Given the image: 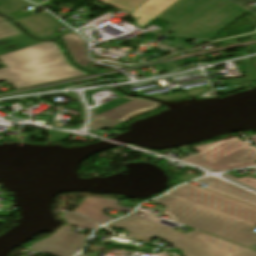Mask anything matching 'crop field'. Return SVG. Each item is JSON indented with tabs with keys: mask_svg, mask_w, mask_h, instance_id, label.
Here are the masks:
<instances>
[{
	"mask_svg": "<svg viewBox=\"0 0 256 256\" xmlns=\"http://www.w3.org/2000/svg\"><path fill=\"white\" fill-rule=\"evenodd\" d=\"M0 61L7 66L0 70V81L5 80L15 89L87 75L72 67L54 42L2 55Z\"/></svg>",
	"mask_w": 256,
	"mask_h": 256,
	"instance_id": "8a807250",
	"label": "crop field"
},
{
	"mask_svg": "<svg viewBox=\"0 0 256 256\" xmlns=\"http://www.w3.org/2000/svg\"><path fill=\"white\" fill-rule=\"evenodd\" d=\"M245 12L227 0H179L158 18L177 23L166 32L211 40Z\"/></svg>",
	"mask_w": 256,
	"mask_h": 256,
	"instance_id": "ac0d7876",
	"label": "crop field"
},
{
	"mask_svg": "<svg viewBox=\"0 0 256 256\" xmlns=\"http://www.w3.org/2000/svg\"><path fill=\"white\" fill-rule=\"evenodd\" d=\"M113 228H127L132 237L149 241L156 236L180 249L184 256H256V252L225 240L195 232L186 235L160 226L134 214L108 225Z\"/></svg>",
	"mask_w": 256,
	"mask_h": 256,
	"instance_id": "34b2d1b8",
	"label": "crop field"
},
{
	"mask_svg": "<svg viewBox=\"0 0 256 256\" xmlns=\"http://www.w3.org/2000/svg\"><path fill=\"white\" fill-rule=\"evenodd\" d=\"M177 222L250 247L256 243L255 225L197 204L177 200L165 206Z\"/></svg>",
	"mask_w": 256,
	"mask_h": 256,
	"instance_id": "412701ff",
	"label": "crop field"
},
{
	"mask_svg": "<svg viewBox=\"0 0 256 256\" xmlns=\"http://www.w3.org/2000/svg\"><path fill=\"white\" fill-rule=\"evenodd\" d=\"M168 194L256 224L255 206L202 189L190 183L180 186Z\"/></svg>",
	"mask_w": 256,
	"mask_h": 256,
	"instance_id": "f4fd0767",
	"label": "crop field"
},
{
	"mask_svg": "<svg viewBox=\"0 0 256 256\" xmlns=\"http://www.w3.org/2000/svg\"><path fill=\"white\" fill-rule=\"evenodd\" d=\"M194 149L200 154L180 160L201 165L215 172L256 165L255 161L221 140Z\"/></svg>",
	"mask_w": 256,
	"mask_h": 256,
	"instance_id": "dd49c442",
	"label": "crop field"
},
{
	"mask_svg": "<svg viewBox=\"0 0 256 256\" xmlns=\"http://www.w3.org/2000/svg\"><path fill=\"white\" fill-rule=\"evenodd\" d=\"M125 98L133 101L97 116H95L94 110H92L94 120L92 121L90 128L98 130L104 127L113 126L162 105L147 99L130 98L127 96H125Z\"/></svg>",
	"mask_w": 256,
	"mask_h": 256,
	"instance_id": "e52e79f7",
	"label": "crop field"
},
{
	"mask_svg": "<svg viewBox=\"0 0 256 256\" xmlns=\"http://www.w3.org/2000/svg\"><path fill=\"white\" fill-rule=\"evenodd\" d=\"M70 228V226L64 225L55 234L29 246V248L56 256H73L81 249L87 238L68 232Z\"/></svg>",
	"mask_w": 256,
	"mask_h": 256,
	"instance_id": "d8731c3e",
	"label": "crop field"
},
{
	"mask_svg": "<svg viewBox=\"0 0 256 256\" xmlns=\"http://www.w3.org/2000/svg\"><path fill=\"white\" fill-rule=\"evenodd\" d=\"M113 7L132 13L140 27H145L177 0H100ZM140 17L141 19H138Z\"/></svg>",
	"mask_w": 256,
	"mask_h": 256,
	"instance_id": "5a996713",
	"label": "crop field"
},
{
	"mask_svg": "<svg viewBox=\"0 0 256 256\" xmlns=\"http://www.w3.org/2000/svg\"><path fill=\"white\" fill-rule=\"evenodd\" d=\"M93 199H94L93 197H86V200L75 212L80 213L81 215L99 224H102L110 219H113L112 217H108L105 215V213L101 212V210L106 207L109 209L123 211L127 213L133 210L131 208H126L120 205H116L118 200H115V199H108V198H95L96 200H93ZM92 201H94V203H92Z\"/></svg>",
	"mask_w": 256,
	"mask_h": 256,
	"instance_id": "3316defc",
	"label": "crop field"
},
{
	"mask_svg": "<svg viewBox=\"0 0 256 256\" xmlns=\"http://www.w3.org/2000/svg\"><path fill=\"white\" fill-rule=\"evenodd\" d=\"M27 30L38 37H48L54 33V30L63 27V24L48 13H41L30 17L27 20L18 21ZM43 27V29H41Z\"/></svg>",
	"mask_w": 256,
	"mask_h": 256,
	"instance_id": "28ad6ade",
	"label": "crop field"
},
{
	"mask_svg": "<svg viewBox=\"0 0 256 256\" xmlns=\"http://www.w3.org/2000/svg\"><path fill=\"white\" fill-rule=\"evenodd\" d=\"M202 183L210 185L209 187L205 188L237 200L252 204L256 206V196L248 191H245L241 188H238L234 185L227 184L222 182L214 177H208L205 179L197 180Z\"/></svg>",
	"mask_w": 256,
	"mask_h": 256,
	"instance_id": "d1516ede",
	"label": "crop field"
},
{
	"mask_svg": "<svg viewBox=\"0 0 256 256\" xmlns=\"http://www.w3.org/2000/svg\"><path fill=\"white\" fill-rule=\"evenodd\" d=\"M62 39L65 41L67 49L73 57L74 61L80 66L86 68L91 62L86 55L82 38L78 35H72V33H70L62 37Z\"/></svg>",
	"mask_w": 256,
	"mask_h": 256,
	"instance_id": "22f410ed",
	"label": "crop field"
},
{
	"mask_svg": "<svg viewBox=\"0 0 256 256\" xmlns=\"http://www.w3.org/2000/svg\"><path fill=\"white\" fill-rule=\"evenodd\" d=\"M39 43L42 41H35L26 34L4 39L0 41V55Z\"/></svg>",
	"mask_w": 256,
	"mask_h": 256,
	"instance_id": "cbeb9de0",
	"label": "crop field"
},
{
	"mask_svg": "<svg viewBox=\"0 0 256 256\" xmlns=\"http://www.w3.org/2000/svg\"><path fill=\"white\" fill-rule=\"evenodd\" d=\"M63 218L66 219L65 223L69 224V225H73V226H77V227H81V228H85V229H89V230H92V229L98 227V225L94 224L93 222H91L75 213L65 212L63 214Z\"/></svg>",
	"mask_w": 256,
	"mask_h": 256,
	"instance_id": "5142ce71",
	"label": "crop field"
},
{
	"mask_svg": "<svg viewBox=\"0 0 256 256\" xmlns=\"http://www.w3.org/2000/svg\"><path fill=\"white\" fill-rule=\"evenodd\" d=\"M30 6L33 5L25 0H0V12L3 14L12 13Z\"/></svg>",
	"mask_w": 256,
	"mask_h": 256,
	"instance_id": "d9b57169",
	"label": "crop field"
},
{
	"mask_svg": "<svg viewBox=\"0 0 256 256\" xmlns=\"http://www.w3.org/2000/svg\"><path fill=\"white\" fill-rule=\"evenodd\" d=\"M223 141L228 143L235 149L239 150L240 152L248 155L252 159L256 160V148L255 147L245 144L244 142H242L241 140L237 139L234 136L223 139Z\"/></svg>",
	"mask_w": 256,
	"mask_h": 256,
	"instance_id": "733c2abd",
	"label": "crop field"
},
{
	"mask_svg": "<svg viewBox=\"0 0 256 256\" xmlns=\"http://www.w3.org/2000/svg\"><path fill=\"white\" fill-rule=\"evenodd\" d=\"M21 33L23 32L20 29L8 21L0 23V40Z\"/></svg>",
	"mask_w": 256,
	"mask_h": 256,
	"instance_id": "4a817a6b",
	"label": "crop field"
},
{
	"mask_svg": "<svg viewBox=\"0 0 256 256\" xmlns=\"http://www.w3.org/2000/svg\"><path fill=\"white\" fill-rule=\"evenodd\" d=\"M171 39H175V42L172 41H168V40H164L162 41L160 44V47L166 48V49H172L173 51H177V50H182V49H188V48H193L192 46L186 45L184 43H182L183 41H185L186 39H182V38H175V37H169ZM168 39V38H167ZM184 46V48H182L181 46Z\"/></svg>",
	"mask_w": 256,
	"mask_h": 256,
	"instance_id": "bc2a9ffb",
	"label": "crop field"
},
{
	"mask_svg": "<svg viewBox=\"0 0 256 256\" xmlns=\"http://www.w3.org/2000/svg\"><path fill=\"white\" fill-rule=\"evenodd\" d=\"M129 101H131V100H128V99H125V98H120L118 100H115L113 102H110V103H108L106 105H103L101 107H98V108L94 109L95 110V114L97 115L99 113H102L104 111H107L109 109H112V108H114L116 106H119V105L124 104V103L129 102Z\"/></svg>",
	"mask_w": 256,
	"mask_h": 256,
	"instance_id": "214f88e0",
	"label": "crop field"
},
{
	"mask_svg": "<svg viewBox=\"0 0 256 256\" xmlns=\"http://www.w3.org/2000/svg\"><path fill=\"white\" fill-rule=\"evenodd\" d=\"M51 135V140L53 141H67L70 134L68 133H62V132H56V131H50L48 130Z\"/></svg>",
	"mask_w": 256,
	"mask_h": 256,
	"instance_id": "92a150f3",
	"label": "crop field"
},
{
	"mask_svg": "<svg viewBox=\"0 0 256 256\" xmlns=\"http://www.w3.org/2000/svg\"><path fill=\"white\" fill-rule=\"evenodd\" d=\"M255 170H256V168H255ZM224 175H226V176H228V177H230V178H232L234 180H237V181H239V182H241V183H243V184H245L247 186H250V187L256 189V179H254V178L243 177V178L237 179V178L229 176L227 174H224Z\"/></svg>",
	"mask_w": 256,
	"mask_h": 256,
	"instance_id": "dafd665d",
	"label": "crop field"
},
{
	"mask_svg": "<svg viewBox=\"0 0 256 256\" xmlns=\"http://www.w3.org/2000/svg\"><path fill=\"white\" fill-rule=\"evenodd\" d=\"M229 1L235 3L236 5L242 7L244 9L248 10L249 12H251V13L256 15V9L245 5V4L253 2V1L256 2V0H229Z\"/></svg>",
	"mask_w": 256,
	"mask_h": 256,
	"instance_id": "00972430",
	"label": "crop field"
},
{
	"mask_svg": "<svg viewBox=\"0 0 256 256\" xmlns=\"http://www.w3.org/2000/svg\"><path fill=\"white\" fill-rule=\"evenodd\" d=\"M177 199H178V198H175V197L166 195V196H164V197H162V198H160V199H157V200H155V201H152V202H155V203H158V204H160V205L165 206V205H167V204H169V203H171V202H173V201H175V200H177Z\"/></svg>",
	"mask_w": 256,
	"mask_h": 256,
	"instance_id": "a9b5d70f",
	"label": "crop field"
},
{
	"mask_svg": "<svg viewBox=\"0 0 256 256\" xmlns=\"http://www.w3.org/2000/svg\"><path fill=\"white\" fill-rule=\"evenodd\" d=\"M248 78H256V67L253 64V62L251 61V59L249 60L247 79Z\"/></svg>",
	"mask_w": 256,
	"mask_h": 256,
	"instance_id": "4177f3b9",
	"label": "crop field"
},
{
	"mask_svg": "<svg viewBox=\"0 0 256 256\" xmlns=\"http://www.w3.org/2000/svg\"><path fill=\"white\" fill-rule=\"evenodd\" d=\"M250 139L256 142V135H253L252 137H250Z\"/></svg>",
	"mask_w": 256,
	"mask_h": 256,
	"instance_id": "730fd06b",
	"label": "crop field"
},
{
	"mask_svg": "<svg viewBox=\"0 0 256 256\" xmlns=\"http://www.w3.org/2000/svg\"><path fill=\"white\" fill-rule=\"evenodd\" d=\"M6 20H7V19H4V18L0 17V22L6 21Z\"/></svg>",
	"mask_w": 256,
	"mask_h": 256,
	"instance_id": "eef30255",
	"label": "crop field"
},
{
	"mask_svg": "<svg viewBox=\"0 0 256 256\" xmlns=\"http://www.w3.org/2000/svg\"><path fill=\"white\" fill-rule=\"evenodd\" d=\"M78 256H81V255H78Z\"/></svg>",
	"mask_w": 256,
	"mask_h": 256,
	"instance_id": "ae1a2a85",
	"label": "crop field"
}]
</instances>
